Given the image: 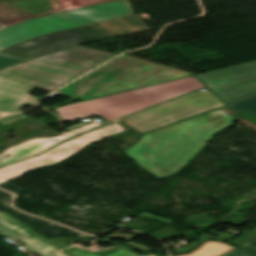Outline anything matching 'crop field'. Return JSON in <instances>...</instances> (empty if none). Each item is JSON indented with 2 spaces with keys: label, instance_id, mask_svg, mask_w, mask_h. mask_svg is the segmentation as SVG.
Segmentation results:
<instances>
[{
  "label": "crop field",
  "instance_id": "crop-field-3",
  "mask_svg": "<svg viewBox=\"0 0 256 256\" xmlns=\"http://www.w3.org/2000/svg\"><path fill=\"white\" fill-rule=\"evenodd\" d=\"M189 75L195 74L122 55L55 93L85 100Z\"/></svg>",
  "mask_w": 256,
  "mask_h": 256
},
{
  "label": "crop field",
  "instance_id": "crop-field-14",
  "mask_svg": "<svg viewBox=\"0 0 256 256\" xmlns=\"http://www.w3.org/2000/svg\"><path fill=\"white\" fill-rule=\"evenodd\" d=\"M2 199H3V196L0 195V209L1 210H5V211L11 212L18 219H20L22 222L32 226L37 232H39V233H41V234H43L45 236L74 235V236H79V237H84V238L92 239V237L84 236V235H81V234H78V233H72V232H66V231H45V230L41 229L40 227L36 226L35 224L31 223L30 221H28L27 219H25L24 217H22L18 213H16L13 210H11L9 207H7L5 204L2 203Z\"/></svg>",
  "mask_w": 256,
  "mask_h": 256
},
{
  "label": "crop field",
  "instance_id": "crop-field-23",
  "mask_svg": "<svg viewBox=\"0 0 256 256\" xmlns=\"http://www.w3.org/2000/svg\"><path fill=\"white\" fill-rule=\"evenodd\" d=\"M103 125H105V124H92L88 127L82 128V129L74 131V132H71V133L66 134L64 136L69 138V137H72V136H75V135H78V134H81V133H84V132L91 131V130L96 129V128H98L100 126H103Z\"/></svg>",
  "mask_w": 256,
  "mask_h": 256
},
{
  "label": "crop field",
  "instance_id": "crop-field-26",
  "mask_svg": "<svg viewBox=\"0 0 256 256\" xmlns=\"http://www.w3.org/2000/svg\"><path fill=\"white\" fill-rule=\"evenodd\" d=\"M74 253H76V254H78V255H80V256H95V255H93V254H91V253H89V252H87V251H85V250H83V249H81V250H79V251H76V252H74ZM111 256H134V255L129 254V253H127V252L121 250V251H119V252H117V253H115V254H113V255H111Z\"/></svg>",
  "mask_w": 256,
  "mask_h": 256
},
{
  "label": "crop field",
  "instance_id": "crop-field-5",
  "mask_svg": "<svg viewBox=\"0 0 256 256\" xmlns=\"http://www.w3.org/2000/svg\"><path fill=\"white\" fill-rule=\"evenodd\" d=\"M131 14L128 1L120 0L26 21L0 30V51L40 35Z\"/></svg>",
  "mask_w": 256,
  "mask_h": 256
},
{
  "label": "crop field",
  "instance_id": "crop-field-13",
  "mask_svg": "<svg viewBox=\"0 0 256 256\" xmlns=\"http://www.w3.org/2000/svg\"><path fill=\"white\" fill-rule=\"evenodd\" d=\"M234 247L226 245L220 241H208L202 244L196 251L191 254L181 256H219Z\"/></svg>",
  "mask_w": 256,
  "mask_h": 256
},
{
  "label": "crop field",
  "instance_id": "crop-field-16",
  "mask_svg": "<svg viewBox=\"0 0 256 256\" xmlns=\"http://www.w3.org/2000/svg\"><path fill=\"white\" fill-rule=\"evenodd\" d=\"M81 248H83V247H81L79 245H76V246L67 248L66 250L72 253V252H74L76 250H79ZM83 249H85V248H83ZM121 249H123V250H125L127 252H130V253H132V254H134L136 256H139V255L135 254L134 252H132L131 250H129L128 247H121V246H113V247L108 248V249H99V250H97L95 252H92V251H90L88 249H85V250H87V251H89V252H91V253H93V254H95L97 256H109V255H111V254H113V253H115V252H117V251H119ZM72 254H74V253H72ZM74 255H76V254H74ZM76 256H78V255H76Z\"/></svg>",
  "mask_w": 256,
  "mask_h": 256
},
{
  "label": "crop field",
  "instance_id": "crop-field-22",
  "mask_svg": "<svg viewBox=\"0 0 256 256\" xmlns=\"http://www.w3.org/2000/svg\"><path fill=\"white\" fill-rule=\"evenodd\" d=\"M24 118H26V115H24L22 113L10 115V116H7V117H1L0 118V124L1 125H7V124H10L12 122L17 121L18 119H24Z\"/></svg>",
  "mask_w": 256,
  "mask_h": 256
},
{
  "label": "crop field",
  "instance_id": "crop-field-28",
  "mask_svg": "<svg viewBox=\"0 0 256 256\" xmlns=\"http://www.w3.org/2000/svg\"><path fill=\"white\" fill-rule=\"evenodd\" d=\"M212 231L213 230H211V232ZM213 232L215 233V232H218V231H213ZM233 237H235V235H231V234H227V233H222V232H220V234H218L217 237L212 236V235H208V239H212L213 238V239H219V240H225V241H227V240H229V239H231Z\"/></svg>",
  "mask_w": 256,
  "mask_h": 256
},
{
  "label": "crop field",
  "instance_id": "crop-field-4",
  "mask_svg": "<svg viewBox=\"0 0 256 256\" xmlns=\"http://www.w3.org/2000/svg\"><path fill=\"white\" fill-rule=\"evenodd\" d=\"M204 87L193 76L54 109L62 121L99 114L108 122Z\"/></svg>",
  "mask_w": 256,
  "mask_h": 256
},
{
  "label": "crop field",
  "instance_id": "crop-field-15",
  "mask_svg": "<svg viewBox=\"0 0 256 256\" xmlns=\"http://www.w3.org/2000/svg\"><path fill=\"white\" fill-rule=\"evenodd\" d=\"M0 194H3L4 195V199L11 196V194L9 193H6L4 191H1L0 190ZM4 203V202H3ZM11 209L15 210L16 212H18L19 214H21L22 216H24L25 218H27L28 220H30L31 222L35 223L36 225L40 226L41 228L45 229V230H66V231H72V232H76L74 230H71V229H68V228H65L61 225L57 226V225H54L50 222H47V221H44L42 219H39V218H36V217H33V216H30V215H27L25 213H22L12 207H10ZM79 233V232H78Z\"/></svg>",
  "mask_w": 256,
  "mask_h": 256
},
{
  "label": "crop field",
  "instance_id": "crop-field-35",
  "mask_svg": "<svg viewBox=\"0 0 256 256\" xmlns=\"http://www.w3.org/2000/svg\"><path fill=\"white\" fill-rule=\"evenodd\" d=\"M88 249H90V250L94 251V250L98 249V247L94 246V247H92V248H88Z\"/></svg>",
  "mask_w": 256,
  "mask_h": 256
},
{
  "label": "crop field",
  "instance_id": "crop-field-11",
  "mask_svg": "<svg viewBox=\"0 0 256 256\" xmlns=\"http://www.w3.org/2000/svg\"><path fill=\"white\" fill-rule=\"evenodd\" d=\"M13 220L10 215L0 212V234L12 239H20L25 242L28 250L41 256L54 253L42 243L27 235Z\"/></svg>",
  "mask_w": 256,
  "mask_h": 256
},
{
  "label": "crop field",
  "instance_id": "crop-field-1",
  "mask_svg": "<svg viewBox=\"0 0 256 256\" xmlns=\"http://www.w3.org/2000/svg\"><path fill=\"white\" fill-rule=\"evenodd\" d=\"M114 56L75 46L0 71V115L20 111L23 104L32 106L40 100L28 93L34 87L54 90Z\"/></svg>",
  "mask_w": 256,
  "mask_h": 256
},
{
  "label": "crop field",
  "instance_id": "crop-field-20",
  "mask_svg": "<svg viewBox=\"0 0 256 256\" xmlns=\"http://www.w3.org/2000/svg\"><path fill=\"white\" fill-rule=\"evenodd\" d=\"M15 222L28 234H32L31 236H33L34 238H36L37 240H39L40 242H42L44 245H46L47 247H49L50 249H52L53 251H58L60 250L56 245H54L53 243L49 242L46 238L41 237L40 235H37L35 233H33L30 229L26 228L24 225H22L20 222H18L17 220H15Z\"/></svg>",
  "mask_w": 256,
  "mask_h": 256
},
{
  "label": "crop field",
  "instance_id": "crop-field-12",
  "mask_svg": "<svg viewBox=\"0 0 256 256\" xmlns=\"http://www.w3.org/2000/svg\"><path fill=\"white\" fill-rule=\"evenodd\" d=\"M256 73V61L194 76L205 86Z\"/></svg>",
  "mask_w": 256,
  "mask_h": 256
},
{
  "label": "crop field",
  "instance_id": "crop-field-18",
  "mask_svg": "<svg viewBox=\"0 0 256 256\" xmlns=\"http://www.w3.org/2000/svg\"><path fill=\"white\" fill-rule=\"evenodd\" d=\"M30 59L0 53V70Z\"/></svg>",
  "mask_w": 256,
  "mask_h": 256
},
{
  "label": "crop field",
  "instance_id": "crop-field-30",
  "mask_svg": "<svg viewBox=\"0 0 256 256\" xmlns=\"http://www.w3.org/2000/svg\"><path fill=\"white\" fill-rule=\"evenodd\" d=\"M71 99H73V98H70L68 101H66V102H63V103H60V104H57V105H55V106H52V107H49L50 109H52V108H56V107H59V106H63V105H66V104H70V103H72L71 101ZM71 100V101H70ZM74 100V99H73Z\"/></svg>",
  "mask_w": 256,
  "mask_h": 256
},
{
  "label": "crop field",
  "instance_id": "crop-field-7",
  "mask_svg": "<svg viewBox=\"0 0 256 256\" xmlns=\"http://www.w3.org/2000/svg\"><path fill=\"white\" fill-rule=\"evenodd\" d=\"M226 106L209 90L197 91L121 119L143 134L170 123Z\"/></svg>",
  "mask_w": 256,
  "mask_h": 256
},
{
  "label": "crop field",
  "instance_id": "crop-field-19",
  "mask_svg": "<svg viewBox=\"0 0 256 256\" xmlns=\"http://www.w3.org/2000/svg\"><path fill=\"white\" fill-rule=\"evenodd\" d=\"M124 131H126V130L123 129V130H121V131H118V132H116V133L110 134V135H108V136L116 135V134H119V133L124 132ZM108 136H105V137H108ZM103 138H104V137H103ZM100 139H101V138H100ZM98 140H99V139H98ZM95 141H97V140H95ZM92 142H94V141H92ZM92 142H90V143H92ZM90 143H88V144H90ZM88 144H86V145H88ZM86 145H84V146L78 148L77 150H75V151H73V152H71V153L65 155L64 157H62V158H60V159H58V160H56V161H54V162H52V163H49V164H46V165H43V166L53 165V164H55V163H57V162H59V161L65 159L66 157H68V156H70V155H72V154L78 152L79 150H81V149H82L83 147H85ZM68 158H69V157H68ZM66 159H67V158H66ZM40 167H42V166H40ZM36 168H39V167H36ZM33 169H35V168H33ZM30 170H31V169H30ZM27 171H28V170H27ZM24 172H26V171H24ZM24 172H21V173L12 175V176H8V177H5V178H2V179H0V183H2V182H4V181H8V180L15 179V178H17V177H20V176L22 175V173H24Z\"/></svg>",
  "mask_w": 256,
  "mask_h": 256
},
{
  "label": "crop field",
  "instance_id": "crop-field-25",
  "mask_svg": "<svg viewBox=\"0 0 256 256\" xmlns=\"http://www.w3.org/2000/svg\"><path fill=\"white\" fill-rule=\"evenodd\" d=\"M239 247L245 249L246 251L256 256V238Z\"/></svg>",
  "mask_w": 256,
  "mask_h": 256
},
{
  "label": "crop field",
  "instance_id": "crop-field-8",
  "mask_svg": "<svg viewBox=\"0 0 256 256\" xmlns=\"http://www.w3.org/2000/svg\"><path fill=\"white\" fill-rule=\"evenodd\" d=\"M121 129L123 128L120 125L113 122L91 132L77 136L28 160L0 168V178L52 162L92 140L103 137Z\"/></svg>",
  "mask_w": 256,
  "mask_h": 256
},
{
  "label": "crop field",
  "instance_id": "crop-field-17",
  "mask_svg": "<svg viewBox=\"0 0 256 256\" xmlns=\"http://www.w3.org/2000/svg\"><path fill=\"white\" fill-rule=\"evenodd\" d=\"M232 108L256 114V96L233 104Z\"/></svg>",
  "mask_w": 256,
  "mask_h": 256
},
{
  "label": "crop field",
  "instance_id": "crop-field-24",
  "mask_svg": "<svg viewBox=\"0 0 256 256\" xmlns=\"http://www.w3.org/2000/svg\"><path fill=\"white\" fill-rule=\"evenodd\" d=\"M205 239H207V235L204 234L203 236H201L196 242L194 245H191V246H187L181 250H171L172 252H176V253H185V252H188L192 249H194L196 246H198L201 242H203Z\"/></svg>",
  "mask_w": 256,
  "mask_h": 256
},
{
  "label": "crop field",
  "instance_id": "crop-field-21",
  "mask_svg": "<svg viewBox=\"0 0 256 256\" xmlns=\"http://www.w3.org/2000/svg\"><path fill=\"white\" fill-rule=\"evenodd\" d=\"M255 237H256V228H254L251 231L241 235L240 237L234 239L231 242H234V243H236L238 245H241V244H243V243H245V242H247V241H249V240H251V239H253ZM231 242H229V243H231Z\"/></svg>",
  "mask_w": 256,
  "mask_h": 256
},
{
  "label": "crop field",
  "instance_id": "crop-field-9",
  "mask_svg": "<svg viewBox=\"0 0 256 256\" xmlns=\"http://www.w3.org/2000/svg\"><path fill=\"white\" fill-rule=\"evenodd\" d=\"M227 105L256 95V74L207 87Z\"/></svg>",
  "mask_w": 256,
  "mask_h": 256
},
{
  "label": "crop field",
  "instance_id": "crop-field-32",
  "mask_svg": "<svg viewBox=\"0 0 256 256\" xmlns=\"http://www.w3.org/2000/svg\"><path fill=\"white\" fill-rule=\"evenodd\" d=\"M67 240L69 241V244H68V245H66V241H67ZM72 241H73V240H70V239H64V241H63L62 243H63L64 247L66 248V247H68V246L75 245V244L72 243Z\"/></svg>",
  "mask_w": 256,
  "mask_h": 256
},
{
  "label": "crop field",
  "instance_id": "crop-field-29",
  "mask_svg": "<svg viewBox=\"0 0 256 256\" xmlns=\"http://www.w3.org/2000/svg\"><path fill=\"white\" fill-rule=\"evenodd\" d=\"M64 238H70V239H74V240H79V241H86V242H92L90 240H84V239H77V238H72V237H64ZM64 238H54V239H51L53 240L55 243H57L60 247L63 248L61 242Z\"/></svg>",
  "mask_w": 256,
  "mask_h": 256
},
{
  "label": "crop field",
  "instance_id": "crop-field-38",
  "mask_svg": "<svg viewBox=\"0 0 256 256\" xmlns=\"http://www.w3.org/2000/svg\"><path fill=\"white\" fill-rule=\"evenodd\" d=\"M66 250V249H65ZM67 252V251H66ZM67 253H69V252H67ZM70 254V253H69ZM71 256H74V255H72V254H70Z\"/></svg>",
  "mask_w": 256,
  "mask_h": 256
},
{
  "label": "crop field",
  "instance_id": "crop-field-6",
  "mask_svg": "<svg viewBox=\"0 0 256 256\" xmlns=\"http://www.w3.org/2000/svg\"><path fill=\"white\" fill-rule=\"evenodd\" d=\"M134 15L53 33L15 44L1 52L34 58L65 47L147 30Z\"/></svg>",
  "mask_w": 256,
  "mask_h": 256
},
{
  "label": "crop field",
  "instance_id": "crop-field-31",
  "mask_svg": "<svg viewBox=\"0 0 256 256\" xmlns=\"http://www.w3.org/2000/svg\"><path fill=\"white\" fill-rule=\"evenodd\" d=\"M232 251H234V252H236V253H238V254H240L242 256H251V255H249V254H247V253H245V252H243V251H241V250H239L237 248L233 249Z\"/></svg>",
  "mask_w": 256,
  "mask_h": 256
},
{
  "label": "crop field",
  "instance_id": "crop-field-33",
  "mask_svg": "<svg viewBox=\"0 0 256 256\" xmlns=\"http://www.w3.org/2000/svg\"><path fill=\"white\" fill-rule=\"evenodd\" d=\"M221 256H239V255H237V254H235V253L230 251V252H228V253H226L224 255H221Z\"/></svg>",
  "mask_w": 256,
  "mask_h": 256
},
{
  "label": "crop field",
  "instance_id": "crop-field-27",
  "mask_svg": "<svg viewBox=\"0 0 256 256\" xmlns=\"http://www.w3.org/2000/svg\"><path fill=\"white\" fill-rule=\"evenodd\" d=\"M0 187L5 189V190H7V191L13 192V193H16V192H18V191L23 189L21 187H18V186L14 185V184L9 183V182L0 184Z\"/></svg>",
  "mask_w": 256,
  "mask_h": 256
},
{
  "label": "crop field",
  "instance_id": "crop-field-36",
  "mask_svg": "<svg viewBox=\"0 0 256 256\" xmlns=\"http://www.w3.org/2000/svg\"><path fill=\"white\" fill-rule=\"evenodd\" d=\"M6 28V26L0 24V29Z\"/></svg>",
  "mask_w": 256,
  "mask_h": 256
},
{
  "label": "crop field",
  "instance_id": "crop-field-2",
  "mask_svg": "<svg viewBox=\"0 0 256 256\" xmlns=\"http://www.w3.org/2000/svg\"><path fill=\"white\" fill-rule=\"evenodd\" d=\"M236 120L217 109L146 134L124 153L151 174L164 178L180 170L203 149L212 135Z\"/></svg>",
  "mask_w": 256,
  "mask_h": 256
},
{
  "label": "crop field",
  "instance_id": "crop-field-37",
  "mask_svg": "<svg viewBox=\"0 0 256 256\" xmlns=\"http://www.w3.org/2000/svg\"><path fill=\"white\" fill-rule=\"evenodd\" d=\"M51 256H61V255H59V254H57V253H56V254H54V255H51Z\"/></svg>",
  "mask_w": 256,
  "mask_h": 256
},
{
  "label": "crop field",
  "instance_id": "crop-field-10",
  "mask_svg": "<svg viewBox=\"0 0 256 256\" xmlns=\"http://www.w3.org/2000/svg\"><path fill=\"white\" fill-rule=\"evenodd\" d=\"M66 139L67 138L60 136L57 138L34 139L27 143L20 144L7 150L4 155L0 156V167L28 159L52 148Z\"/></svg>",
  "mask_w": 256,
  "mask_h": 256
},
{
  "label": "crop field",
  "instance_id": "crop-field-34",
  "mask_svg": "<svg viewBox=\"0 0 256 256\" xmlns=\"http://www.w3.org/2000/svg\"><path fill=\"white\" fill-rule=\"evenodd\" d=\"M59 254L63 255V256H69L66 252H64L63 250L61 252H59Z\"/></svg>",
  "mask_w": 256,
  "mask_h": 256
}]
</instances>
